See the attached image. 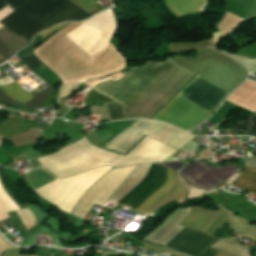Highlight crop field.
<instances>
[{
    "label": "crop field",
    "mask_w": 256,
    "mask_h": 256,
    "mask_svg": "<svg viewBox=\"0 0 256 256\" xmlns=\"http://www.w3.org/2000/svg\"><path fill=\"white\" fill-rule=\"evenodd\" d=\"M218 239L198 230L185 227L166 247L190 256H197Z\"/></svg>",
    "instance_id": "crop-field-10"
},
{
    "label": "crop field",
    "mask_w": 256,
    "mask_h": 256,
    "mask_svg": "<svg viewBox=\"0 0 256 256\" xmlns=\"http://www.w3.org/2000/svg\"><path fill=\"white\" fill-rule=\"evenodd\" d=\"M25 1L26 0H0V10L7 5L14 10Z\"/></svg>",
    "instance_id": "crop-field-21"
},
{
    "label": "crop field",
    "mask_w": 256,
    "mask_h": 256,
    "mask_svg": "<svg viewBox=\"0 0 256 256\" xmlns=\"http://www.w3.org/2000/svg\"><path fill=\"white\" fill-rule=\"evenodd\" d=\"M211 115L199 106L175 95L152 119L163 120L191 131Z\"/></svg>",
    "instance_id": "crop-field-7"
},
{
    "label": "crop field",
    "mask_w": 256,
    "mask_h": 256,
    "mask_svg": "<svg viewBox=\"0 0 256 256\" xmlns=\"http://www.w3.org/2000/svg\"><path fill=\"white\" fill-rule=\"evenodd\" d=\"M234 186L241 187L247 191H256V167H246Z\"/></svg>",
    "instance_id": "crop-field-14"
},
{
    "label": "crop field",
    "mask_w": 256,
    "mask_h": 256,
    "mask_svg": "<svg viewBox=\"0 0 256 256\" xmlns=\"http://www.w3.org/2000/svg\"><path fill=\"white\" fill-rule=\"evenodd\" d=\"M172 14L179 16L204 10L207 0H164Z\"/></svg>",
    "instance_id": "crop-field-13"
},
{
    "label": "crop field",
    "mask_w": 256,
    "mask_h": 256,
    "mask_svg": "<svg viewBox=\"0 0 256 256\" xmlns=\"http://www.w3.org/2000/svg\"><path fill=\"white\" fill-rule=\"evenodd\" d=\"M88 16L70 0H28L0 23L30 42L38 32L51 26Z\"/></svg>",
    "instance_id": "crop-field-2"
},
{
    "label": "crop field",
    "mask_w": 256,
    "mask_h": 256,
    "mask_svg": "<svg viewBox=\"0 0 256 256\" xmlns=\"http://www.w3.org/2000/svg\"><path fill=\"white\" fill-rule=\"evenodd\" d=\"M16 209H20V207L4 189L0 181V210L2 214Z\"/></svg>",
    "instance_id": "crop-field-16"
},
{
    "label": "crop field",
    "mask_w": 256,
    "mask_h": 256,
    "mask_svg": "<svg viewBox=\"0 0 256 256\" xmlns=\"http://www.w3.org/2000/svg\"><path fill=\"white\" fill-rule=\"evenodd\" d=\"M0 89L4 91L9 97H12L24 104L30 99L34 98L16 82L3 86Z\"/></svg>",
    "instance_id": "crop-field-15"
},
{
    "label": "crop field",
    "mask_w": 256,
    "mask_h": 256,
    "mask_svg": "<svg viewBox=\"0 0 256 256\" xmlns=\"http://www.w3.org/2000/svg\"><path fill=\"white\" fill-rule=\"evenodd\" d=\"M220 214L219 211H210L194 206L181 225L205 232Z\"/></svg>",
    "instance_id": "crop-field-12"
},
{
    "label": "crop field",
    "mask_w": 256,
    "mask_h": 256,
    "mask_svg": "<svg viewBox=\"0 0 256 256\" xmlns=\"http://www.w3.org/2000/svg\"><path fill=\"white\" fill-rule=\"evenodd\" d=\"M112 167H103L81 175L57 180L49 171L40 168L25 174L27 182L40 195L67 213L72 212L79 199ZM78 204V203H77Z\"/></svg>",
    "instance_id": "crop-field-3"
},
{
    "label": "crop field",
    "mask_w": 256,
    "mask_h": 256,
    "mask_svg": "<svg viewBox=\"0 0 256 256\" xmlns=\"http://www.w3.org/2000/svg\"><path fill=\"white\" fill-rule=\"evenodd\" d=\"M25 63L26 65L33 71L35 70L36 68H38L39 66H41L38 61L33 57V55L30 53L29 55L21 58Z\"/></svg>",
    "instance_id": "crop-field-20"
},
{
    "label": "crop field",
    "mask_w": 256,
    "mask_h": 256,
    "mask_svg": "<svg viewBox=\"0 0 256 256\" xmlns=\"http://www.w3.org/2000/svg\"><path fill=\"white\" fill-rule=\"evenodd\" d=\"M173 61L147 62L133 67L122 79L105 82L93 89L121 104L174 67L177 63ZM194 75L183 66L176 65L121 104L125 119L149 118Z\"/></svg>",
    "instance_id": "crop-field-1"
},
{
    "label": "crop field",
    "mask_w": 256,
    "mask_h": 256,
    "mask_svg": "<svg viewBox=\"0 0 256 256\" xmlns=\"http://www.w3.org/2000/svg\"><path fill=\"white\" fill-rule=\"evenodd\" d=\"M0 100H1V101H4V102H6V103H9V104H13V105H15L16 103H18V101L9 98V97H8L5 93H3L1 90H0ZM6 103H5V104H6Z\"/></svg>",
    "instance_id": "crop-field-25"
},
{
    "label": "crop field",
    "mask_w": 256,
    "mask_h": 256,
    "mask_svg": "<svg viewBox=\"0 0 256 256\" xmlns=\"http://www.w3.org/2000/svg\"><path fill=\"white\" fill-rule=\"evenodd\" d=\"M108 106L112 120L124 119L120 105L108 104Z\"/></svg>",
    "instance_id": "crop-field-18"
},
{
    "label": "crop field",
    "mask_w": 256,
    "mask_h": 256,
    "mask_svg": "<svg viewBox=\"0 0 256 256\" xmlns=\"http://www.w3.org/2000/svg\"><path fill=\"white\" fill-rule=\"evenodd\" d=\"M233 128L242 131L248 135L256 136V113H254L252 117L247 119L242 124L234 126Z\"/></svg>",
    "instance_id": "crop-field-17"
},
{
    "label": "crop field",
    "mask_w": 256,
    "mask_h": 256,
    "mask_svg": "<svg viewBox=\"0 0 256 256\" xmlns=\"http://www.w3.org/2000/svg\"><path fill=\"white\" fill-rule=\"evenodd\" d=\"M48 97L47 95H45L44 93H40L39 95H37L34 99L30 100L28 103H26L25 105L31 107V108H36L38 105H40L41 103H43L45 100H47Z\"/></svg>",
    "instance_id": "crop-field-19"
},
{
    "label": "crop field",
    "mask_w": 256,
    "mask_h": 256,
    "mask_svg": "<svg viewBox=\"0 0 256 256\" xmlns=\"http://www.w3.org/2000/svg\"><path fill=\"white\" fill-rule=\"evenodd\" d=\"M230 93L196 75L177 95L213 113Z\"/></svg>",
    "instance_id": "crop-field-8"
},
{
    "label": "crop field",
    "mask_w": 256,
    "mask_h": 256,
    "mask_svg": "<svg viewBox=\"0 0 256 256\" xmlns=\"http://www.w3.org/2000/svg\"><path fill=\"white\" fill-rule=\"evenodd\" d=\"M66 34L91 57L106 48L117 23L113 12H100Z\"/></svg>",
    "instance_id": "crop-field-5"
},
{
    "label": "crop field",
    "mask_w": 256,
    "mask_h": 256,
    "mask_svg": "<svg viewBox=\"0 0 256 256\" xmlns=\"http://www.w3.org/2000/svg\"><path fill=\"white\" fill-rule=\"evenodd\" d=\"M218 252L210 247L202 256H214Z\"/></svg>",
    "instance_id": "crop-field-28"
},
{
    "label": "crop field",
    "mask_w": 256,
    "mask_h": 256,
    "mask_svg": "<svg viewBox=\"0 0 256 256\" xmlns=\"http://www.w3.org/2000/svg\"><path fill=\"white\" fill-rule=\"evenodd\" d=\"M161 165H166L176 171H178L180 168H182L183 166H185L184 164H182L180 161H176V162H170V163H160Z\"/></svg>",
    "instance_id": "crop-field-23"
},
{
    "label": "crop field",
    "mask_w": 256,
    "mask_h": 256,
    "mask_svg": "<svg viewBox=\"0 0 256 256\" xmlns=\"http://www.w3.org/2000/svg\"><path fill=\"white\" fill-rule=\"evenodd\" d=\"M79 1L83 5L84 8H87V7H91V6L95 5V3L98 0H79Z\"/></svg>",
    "instance_id": "crop-field-27"
},
{
    "label": "crop field",
    "mask_w": 256,
    "mask_h": 256,
    "mask_svg": "<svg viewBox=\"0 0 256 256\" xmlns=\"http://www.w3.org/2000/svg\"><path fill=\"white\" fill-rule=\"evenodd\" d=\"M255 143H256V139H254ZM253 153L256 155V148L254 150H252Z\"/></svg>",
    "instance_id": "crop-field-29"
},
{
    "label": "crop field",
    "mask_w": 256,
    "mask_h": 256,
    "mask_svg": "<svg viewBox=\"0 0 256 256\" xmlns=\"http://www.w3.org/2000/svg\"><path fill=\"white\" fill-rule=\"evenodd\" d=\"M169 168L153 164L150 173L143 182L132 192L120 200L119 204L135 210L140 206L154 191H156L166 180ZM176 183V172L169 170L167 180L154 192L136 211L143 213L156 200L168 192Z\"/></svg>",
    "instance_id": "crop-field-4"
},
{
    "label": "crop field",
    "mask_w": 256,
    "mask_h": 256,
    "mask_svg": "<svg viewBox=\"0 0 256 256\" xmlns=\"http://www.w3.org/2000/svg\"><path fill=\"white\" fill-rule=\"evenodd\" d=\"M239 171L235 165L211 168L204 162H195L180 171L183 178L195 187L212 189Z\"/></svg>",
    "instance_id": "crop-field-9"
},
{
    "label": "crop field",
    "mask_w": 256,
    "mask_h": 256,
    "mask_svg": "<svg viewBox=\"0 0 256 256\" xmlns=\"http://www.w3.org/2000/svg\"><path fill=\"white\" fill-rule=\"evenodd\" d=\"M14 246L10 245L7 241H5L1 236H0V254L9 249L13 248Z\"/></svg>",
    "instance_id": "crop-field-26"
},
{
    "label": "crop field",
    "mask_w": 256,
    "mask_h": 256,
    "mask_svg": "<svg viewBox=\"0 0 256 256\" xmlns=\"http://www.w3.org/2000/svg\"><path fill=\"white\" fill-rule=\"evenodd\" d=\"M28 43L3 26L0 29V65L10 60L16 51L28 45Z\"/></svg>",
    "instance_id": "crop-field-11"
},
{
    "label": "crop field",
    "mask_w": 256,
    "mask_h": 256,
    "mask_svg": "<svg viewBox=\"0 0 256 256\" xmlns=\"http://www.w3.org/2000/svg\"><path fill=\"white\" fill-rule=\"evenodd\" d=\"M68 23H70V22H67V23H65V24L58 25V26H56V27H54V28H52V29H50V30H48V31H45V32L39 34V35H41V36L45 39V38H47L48 36H50L52 33H54L55 31H57L58 29H60L61 27H63L64 25H66V24H68Z\"/></svg>",
    "instance_id": "crop-field-24"
},
{
    "label": "crop field",
    "mask_w": 256,
    "mask_h": 256,
    "mask_svg": "<svg viewBox=\"0 0 256 256\" xmlns=\"http://www.w3.org/2000/svg\"><path fill=\"white\" fill-rule=\"evenodd\" d=\"M137 166L132 165L111 170L89 189L74 209L73 214L84 219L94 203L103 206Z\"/></svg>",
    "instance_id": "crop-field-6"
},
{
    "label": "crop field",
    "mask_w": 256,
    "mask_h": 256,
    "mask_svg": "<svg viewBox=\"0 0 256 256\" xmlns=\"http://www.w3.org/2000/svg\"><path fill=\"white\" fill-rule=\"evenodd\" d=\"M198 145V143L194 142V141H190L189 143H187L183 148L180 149V151L188 154L189 152H191L194 148H196Z\"/></svg>",
    "instance_id": "crop-field-22"
}]
</instances>
